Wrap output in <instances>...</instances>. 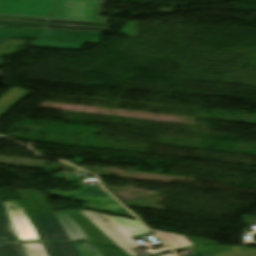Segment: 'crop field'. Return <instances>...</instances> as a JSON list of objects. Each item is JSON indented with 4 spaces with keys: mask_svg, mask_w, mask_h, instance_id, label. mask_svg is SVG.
<instances>
[{
    "mask_svg": "<svg viewBox=\"0 0 256 256\" xmlns=\"http://www.w3.org/2000/svg\"><path fill=\"white\" fill-rule=\"evenodd\" d=\"M40 31L41 29L0 27V37L11 39H36V41H32L30 44V46L34 47L83 49L85 43L98 44L101 34L94 32L44 29L38 40L37 36Z\"/></svg>",
    "mask_w": 256,
    "mask_h": 256,
    "instance_id": "crop-field-1",
    "label": "crop field"
},
{
    "mask_svg": "<svg viewBox=\"0 0 256 256\" xmlns=\"http://www.w3.org/2000/svg\"><path fill=\"white\" fill-rule=\"evenodd\" d=\"M100 228L118 246L122 247L130 256H139L135 248L139 245L132 239L134 236L149 233L138 221L116 216H108L102 213L79 210ZM108 220V222H104ZM169 249L154 252L149 255L169 252ZM148 256V255H145Z\"/></svg>",
    "mask_w": 256,
    "mask_h": 256,
    "instance_id": "crop-field-2",
    "label": "crop field"
},
{
    "mask_svg": "<svg viewBox=\"0 0 256 256\" xmlns=\"http://www.w3.org/2000/svg\"><path fill=\"white\" fill-rule=\"evenodd\" d=\"M48 19L0 15V26L43 28ZM112 24L51 19L46 28L109 32Z\"/></svg>",
    "mask_w": 256,
    "mask_h": 256,
    "instance_id": "crop-field-3",
    "label": "crop field"
},
{
    "mask_svg": "<svg viewBox=\"0 0 256 256\" xmlns=\"http://www.w3.org/2000/svg\"><path fill=\"white\" fill-rule=\"evenodd\" d=\"M98 187L83 186L79 191L59 192L48 191L57 197H73L77 201H87L83 207L91 209H104L113 213L133 217L126 209L119 205L108 193ZM135 218V217H134Z\"/></svg>",
    "mask_w": 256,
    "mask_h": 256,
    "instance_id": "crop-field-4",
    "label": "crop field"
},
{
    "mask_svg": "<svg viewBox=\"0 0 256 256\" xmlns=\"http://www.w3.org/2000/svg\"><path fill=\"white\" fill-rule=\"evenodd\" d=\"M103 3L98 0H62L52 18L107 23L108 18L100 17Z\"/></svg>",
    "mask_w": 256,
    "mask_h": 256,
    "instance_id": "crop-field-5",
    "label": "crop field"
},
{
    "mask_svg": "<svg viewBox=\"0 0 256 256\" xmlns=\"http://www.w3.org/2000/svg\"><path fill=\"white\" fill-rule=\"evenodd\" d=\"M60 0H0V14L50 18Z\"/></svg>",
    "mask_w": 256,
    "mask_h": 256,
    "instance_id": "crop-field-6",
    "label": "crop field"
},
{
    "mask_svg": "<svg viewBox=\"0 0 256 256\" xmlns=\"http://www.w3.org/2000/svg\"><path fill=\"white\" fill-rule=\"evenodd\" d=\"M16 233L20 241H41L21 201H5ZM13 206L15 210L10 207Z\"/></svg>",
    "mask_w": 256,
    "mask_h": 256,
    "instance_id": "crop-field-7",
    "label": "crop field"
},
{
    "mask_svg": "<svg viewBox=\"0 0 256 256\" xmlns=\"http://www.w3.org/2000/svg\"><path fill=\"white\" fill-rule=\"evenodd\" d=\"M55 215L51 213L30 218L42 241H70Z\"/></svg>",
    "mask_w": 256,
    "mask_h": 256,
    "instance_id": "crop-field-8",
    "label": "crop field"
},
{
    "mask_svg": "<svg viewBox=\"0 0 256 256\" xmlns=\"http://www.w3.org/2000/svg\"><path fill=\"white\" fill-rule=\"evenodd\" d=\"M67 211L78 223V225L83 229L87 236L92 240L93 243L117 247V245L113 241H111L101 230H99L78 210Z\"/></svg>",
    "mask_w": 256,
    "mask_h": 256,
    "instance_id": "crop-field-9",
    "label": "crop field"
},
{
    "mask_svg": "<svg viewBox=\"0 0 256 256\" xmlns=\"http://www.w3.org/2000/svg\"><path fill=\"white\" fill-rule=\"evenodd\" d=\"M55 214L67 232L68 236L70 237L71 241L90 242V240L85 236V234L80 230V228L65 211L56 212Z\"/></svg>",
    "mask_w": 256,
    "mask_h": 256,
    "instance_id": "crop-field-10",
    "label": "crop field"
},
{
    "mask_svg": "<svg viewBox=\"0 0 256 256\" xmlns=\"http://www.w3.org/2000/svg\"><path fill=\"white\" fill-rule=\"evenodd\" d=\"M1 236L6 237V240L2 241ZM13 241L19 240L0 197V242Z\"/></svg>",
    "mask_w": 256,
    "mask_h": 256,
    "instance_id": "crop-field-11",
    "label": "crop field"
},
{
    "mask_svg": "<svg viewBox=\"0 0 256 256\" xmlns=\"http://www.w3.org/2000/svg\"><path fill=\"white\" fill-rule=\"evenodd\" d=\"M28 94H30V92H27L20 88H14L9 93H7L4 97L0 99V116H2L5 112L11 109L23 98H25Z\"/></svg>",
    "mask_w": 256,
    "mask_h": 256,
    "instance_id": "crop-field-12",
    "label": "crop field"
},
{
    "mask_svg": "<svg viewBox=\"0 0 256 256\" xmlns=\"http://www.w3.org/2000/svg\"><path fill=\"white\" fill-rule=\"evenodd\" d=\"M48 256H80L73 243H43Z\"/></svg>",
    "mask_w": 256,
    "mask_h": 256,
    "instance_id": "crop-field-13",
    "label": "crop field"
},
{
    "mask_svg": "<svg viewBox=\"0 0 256 256\" xmlns=\"http://www.w3.org/2000/svg\"><path fill=\"white\" fill-rule=\"evenodd\" d=\"M153 231L160 235L174 250L194 246L187 236L157 230Z\"/></svg>",
    "mask_w": 256,
    "mask_h": 256,
    "instance_id": "crop-field-14",
    "label": "crop field"
},
{
    "mask_svg": "<svg viewBox=\"0 0 256 256\" xmlns=\"http://www.w3.org/2000/svg\"><path fill=\"white\" fill-rule=\"evenodd\" d=\"M27 42V40H10V39H0V65L3 58L6 56L19 51V47H23ZM29 44H27L23 49H25ZM20 50H23L21 49ZM4 49H9V52L3 51Z\"/></svg>",
    "mask_w": 256,
    "mask_h": 256,
    "instance_id": "crop-field-15",
    "label": "crop field"
},
{
    "mask_svg": "<svg viewBox=\"0 0 256 256\" xmlns=\"http://www.w3.org/2000/svg\"><path fill=\"white\" fill-rule=\"evenodd\" d=\"M0 256H25L20 244H0Z\"/></svg>",
    "mask_w": 256,
    "mask_h": 256,
    "instance_id": "crop-field-16",
    "label": "crop field"
},
{
    "mask_svg": "<svg viewBox=\"0 0 256 256\" xmlns=\"http://www.w3.org/2000/svg\"><path fill=\"white\" fill-rule=\"evenodd\" d=\"M26 256H47L42 243H23Z\"/></svg>",
    "mask_w": 256,
    "mask_h": 256,
    "instance_id": "crop-field-17",
    "label": "crop field"
},
{
    "mask_svg": "<svg viewBox=\"0 0 256 256\" xmlns=\"http://www.w3.org/2000/svg\"><path fill=\"white\" fill-rule=\"evenodd\" d=\"M234 252H222L216 256H256V248L248 249L246 246H232Z\"/></svg>",
    "mask_w": 256,
    "mask_h": 256,
    "instance_id": "crop-field-18",
    "label": "crop field"
},
{
    "mask_svg": "<svg viewBox=\"0 0 256 256\" xmlns=\"http://www.w3.org/2000/svg\"><path fill=\"white\" fill-rule=\"evenodd\" d=\"M197 249L203 256H214L222 251H233L231 246H201Z\"/></svg>",
    "mask_w": 256,
    "mask_h": 256,
    "instance_id": "crop-field-19",
    "label": "crop field"
},
{
    "mask_svg": "<svg viewBox=\"0 0 256 256\" xmlns=\"http://www.w3.org/2000/svg\"><path fill=\"white\" fill-rule=\"evenodd\" d=\"M105 256H126L121 250L99 247Z\"/></svg>",
    "mask_w": 256,
    "mask_h": 256,
    "instance_id": "crop-field-20",
    "label": "crop field"
},
{
    "mask_svg": "<svg viewBox=\"0 0 256 256\" xmlns=\"http://www.w3.org/2000/svg\"><path fill=\"white\" fill-rule=\"evenodd\" d=\"M189 238L195 246H197L199 244H216V242H217L214 240H207V239H201V238H194V237H189Z\"/></svg>",
    "mask_w": 256,
    "mask_h": 256,
    "instance_id": "crop-field-21",
    "label": "crop field"
},
{
    "mask_svg": "<svg viewBox=\"0 0 256 256\" xmlns=\"http://www.w3.org/2000/svg\"><path fill=\"white\" fill-rule=\"evenodd\" d=\"M81 256H92L83 243H74Z\"/></svg>",
    "mask_w": 256,
    "mask_h": 256,
    "instance_id": "crop-field-22",
    "label": "crop field"
},
{
    "mask_svg": "<svg viewBox=\"0 0 256 256\" xmlns=\"http://www.w3.org/2000/svg\"><path fill=\"white\" fill-rule=\"evenodd\" d=\"M85 246L88 248V250L90 251V253L93 255V256H102L100 254V252L96 249V247L94 245H91V244H85Z\"/></svg>",
    "mask_w": 256,
    "mask_h": 256,
    "instance_id": "crop-field-23",
    "label": "crop field"
},
{
    "mask_svg": "<svg viewBox=\"0 0 256 256\" xmlns=\"http://www.w3.org/2000/svg\"><path fill=\"white\" fill-rule=\"evenodd\" d=\"M194 250L197 252V254L198 255H195V256H202L201 254H200V252L196 249V248H194Z\"/></svg>",
    "mask_w": 256,
    "mask_h": 256,
    "instance_id": "crop-field-24",
    "label": "crop field"
},
{
    "mask_svg": "<svg viewBox=\"0 0 256 256\" xmlns=\"http://www.w3.org/2000/svg\"><path fill=\"white\" fill-rule=\"evenodd\" d=\"M163 256H176L174 253L168 254V255H163Z\"/></svg>",
    "mask_w": 256,
    "mask_h": 256,
    "instance_id": "crop-field-25",
    "label": "crop field"
},
{
    "mask_svg": "<svg viewBox=\"0 0 256 256\" xmlns=\"http://www.w3.org/2000/svg\"><path fill=\"white\" fill-rule=\"evenodd\" d=\"M246 220H249L247 217H244Z\"/></svg>",
    "mask_w": 256,
    "mask_h": 256,
    "instance_id": "crop-field-26",
    "label": "crop field"
}]
</instances>
